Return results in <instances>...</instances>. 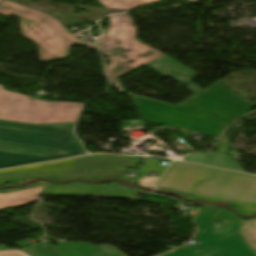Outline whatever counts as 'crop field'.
<instances>
[{
    "label": "crop field",
    "mask_w": 256,
    "mask_h": 256,
    "mask_svg": "<svg viewBox=\"0 0 256 256\" xmlns=\"http://www.w3.org/2000/svg\"><path fill=\"white\" fill-rule=\"evenodd\" d=\"M127 93L146 121L216 137L255 106L215 83L177 106Z\"/></svg>",
    "instance_id": "obj_1"
},
{
    "label": "crop field",
    "mask_w": 256,
    "mask_h": 256,
    "mask_svg": "<svg viewBox=\"0 0 256 256\" xmlns=\"http://www.w3.org/2000/svg\"><path fill=\"white\" fill-rule=\"evenodd\" d=\"M74 124L0 120V168L86 154L73 136Z\"/></svg>",
    "instance_id": "obj_2"
},
{
    "label": "crop field",
    "mask_w": 256,
    "mask_h": 256,
    "mask_svg": "<svg viewBox=\"0 0 256 256\" xmlns=\"http://www.w3.org/2000/svg\"><path fill=\"white\" fill-rule=\"evenodd\" d=\"M159 187L256 203V176L173 161Z\"/></svg>",
    "instance_id": "obj_3"
},
{
    "label": "crop field",
    "mask_w": 256,
    "mask_h": 256,
    "mask_svg": "<svg viewBox=\"0 0 256 256\" xmlns=\"http://www.w3.org/2000/svg\"><path fill=\"white\" fill-rule=\"evenodd\" d=\"M98 47L110 57L107 73L120 93L125 91L117 78L164 56L136 38V27L129 15L110 16L109 29L98 38Z\"/></svg>",
    "instance_id": "obj_4"
},
{
    "label": "crop field",
    "mask_w": 256,
    "mask_h": 256,
    "mask_svg": "<svg viewBox=\"0 0 256 256\" xmlns=\"http://www.w3.org/2000/svg\"><path fill=\"white\" fill-rule=\"evenodd\" d=\"M16 15L20 18L22 37L36 43L40 49L41 62L68 57L69 47L80 44L94 48V43L79 40L55 18L39 10L2 0L0 15Z\"/></svg>",
    "instance_id": "obj_5"
},
{
    "label": "crop field",
    "mask_w": 256,
    "mask_h": 256,
    "mask_svg": "<svg viewBox=\"0 0 256 256\" xmlns=\"http://www.w3.org/2000/svg\"><path fill=\"white\" fill-rule=\"evenodd\" d=\"M142 159L116 155H90L82 158L0 171V179L33 176H123Z\"/></svg>",
    "instance_id": "obj_6"
},
{
    "label": "crop field",
    "mask_w": 256,
    "mask_h": 256,
    "mask_svg": "<svg viewBox=\"0 0 256 256\" xmlns=\"http://www.w3.org/2000/svg\"><path fill=\"white\" fill-rule=\"evenodd\" d=\"M194 239L203 244L180 248L160 256H256L237 232L240 224L198 214Z\"/></svg>",
    "instance_id": "obj_7"
},
{
    "label": "crop field",
    "mask_w": 256,
    "mask_h": 256,
    "mask_svg": "<svg viewBox=\"0 0 256 256\" xmlns=\"http://www.w3.org/2000/svg\"><path fill=\"white\" fill-rule=\"evenodd\" d=\"M84 105L42 101L5 91L0 85V119L33 124L76 122Z\"/></svg>",
    "instance_id": "obj_8"
},
{
    "label": "crop field",
    "mask_w": 256,
    "mask_h": 256,
    "mask_svg": "<svg viewBox=\"0 0 256 256\" xmlns=\"http://www.w3.org/2000/svg\"><path fill=\"white\" fill-rule=\"evenodd\" d=\"M140 192V190L131 189L119 183L109 185L69 183L63 185H47L41 195H99L134 198Z\"/></svg>",
    "instance_id": "obj_9"
},
{
    "label": "crop field",
    "mask_w": 256,
    "mask_h": 256,
    "mask_svg": "<svg viewBox=\"0 0 256 256\" xmlns=\"http://www.w3.org/2000/svg\"><path fill=\"white\" fill-rule=\"evenodd\" d=\"M146 66L164 76H170L182 83H188L189 86L186 87V89L193 94L203 90L190 81L195 77L197 72L187 68L168 56H164Z\"/></svg>",
    "instance_id": "obj_10"
},
{
    "label": "crop field",
    "mask_w": 256,
    "mask_h": 256,
    "mask_svg": "<svg viewBox=\"0 0 256 256\" xmlns=\"http://www.w3.org/2000/svg\"><path fill=\"white\" fill-rule=\"evenodd\" d=\"M43 187L44 186H38L25 190L0 194V210L7 207H16L36 201V198Z\"/></svg>",
    "instance_id": "obj_11"
},
{
    "label": "crop field",
    "mask_w": 256,
    "mask_h": 256,
    "mask_svg": "<svg viewBox=\"0 0 256 256\" xmlns=\"http://www.w3.org/2000/svg\"><path fill=\"white\" fill-rule=\"evenodd\" d=\"M186 160L204 164H211L213 166L222 168L244 171L240 165H238L234 160H232L229 156L223 153H196L191 156H187Z\"/></svg>",
    "instance_id": "obj_12"
},
{
    "label": "crop field",
    "mask_w": 256,
    "mask_h": 256,
    "mask_svg": "<svg viewBox=\"0 0 256 256\" xmlns=\"http://www.w3.org/2000/svg\"><path fill=\"white\" fill-rule=\"evenodd\" d=\"M56 249L65 256H109L99 247L88 243H59Z\"/></svg>",
    "instance_id": "obj_13"
},
{
    "label": "crop field",
    "mask_w": 256,
    "mask_h": 256,
    "mask_svg": "<svg viewBox=\"0 0 256 256\" xmlns=\"http://www.w3.org/2000/svg\"><path fill=\"white\" fill-rule=\"evenodd\" d=\"M106 8L129 10L134 7L144 6L160 0H99Z\"/></svg>",
    "instance_id": "obj_14"
},
{
    "label": "crop field",
    "mask_w": 256,
    "mask_h": 256,
    "mask_svg": "<svg viewBox=\"0 0 256 256\" xmlns=\"http://www.w3.org/2000/svg\"><path fill=\"white\" fill-rule=\"evenodd\" d=\"M156 189H163V188L156 187ZM164 190H168V189H164ZM178 193H180V192H178ZM180 194L184 195V193H180ZM186 196H188L191 199L204 200V201H212V202L225 201V200L209 198V197H204V196H198V195L187 194ZM228 202H231V201H228ZM232 203H235L236 206L238 207V209L240 210V212L245 215H252L256 212V204H254V203H242V202H232Z\"/></svg>",
    "instance_id": "obj_15"
},
{
    "label": "crop field",
    "mask_w": 256,
    "mask_h": 256,
    "mask_svg": "<svg viewBox=\"0 0 256 256\" xmlns=\"http://www.w3.org/2000/svg\"><path fill=\"white\" fill-rule=\"evenodd\" d=\"M238 232L256 251V218L246 221Z\"/></svg>",
    "instance_id": "obj_16"
},
{
    "label": "crop field",
    "mask_w": 256,
    "mask_h": 256,
    "mask_svg": "<svg viewBox=\"0 0 256 256\" xmlns=\"http://www.w3.org/2000/svg\"><path fill=\"white\" fill-rule=\"evenodd\" d=\"M200 213L209 215V216H213V217H217V218H221V219H225V220H229V221H233V222H237V223H241V224L244 223V221L234 217L227 210L217 208V207L203 206Z\"/></svg>",
    "instance_id": "obj_17"
},
{
    "label": "crop field",
    "mask_w": 256,
    "mask_h": 256,
    "mask_svg": "<svg viewBox=\"0 0 256 256\" xmlns=\"http://www.w3.org/2000/svg\"><path fill=\"white\" fill-rule=\"evenodd\" d=\"M31 256H62L51 246L43 247L42 245H37L33 248L25 250Z\"/></svg>",
    "instance_id": "obj_18"
},
{
    "label": "crop field",
    "mask_w": 256,
    "mask_h": 256,
    "mask_svg": "<svg viewBox=\"0 0 256 256\" xmlns=\"http://www.w3.org/2000/svg\"><path fill=\"white\" fill-rule=\"evenodd\" d=\"M49 178H53V179H59V180H63V179H69V178H79V179H87V180H97V179H101L104 177H49ZM116 178H122V177H116ZM29 178H23V179H9V180H0V185L5 184L6 182H18V181H25Z\"/></svg>",
    "instance_id": "obj_19"
},
{
    "label": "crop field",
    "mask_w": 256,
    "mask_h": 256,
    "mask_svg": "<svg viewBox=\"0 0 256 256\" xmlns=\"http://www.w3.org/2000/svg\"><path fill=\"white\" fill-rule=\"evenodd\" d=\"M100 248L107 252L110 256H125L117 249L110 246H101Z\"/></svg>",
    "instance_id": "obj_20"
},
{
    "label": "crop field",
    "mask_w": 256,
    "mask_h": 256,
    "mask_svg": "<svg viewBox=\"0 0 256 256\" xmlns=\"http://www.w3.org/2000/svg\"><path fill=\"white\" fill-rule=\"evenodd\" d=\"M0 256H27L22 251L12 250V251H1Z\"/></svg>",
    "instance_id": "obj_21"
},
{
    "label": "crop field",
    "mask_w": 256,
    "mask_h": 256,
    "mask_svg": "<svg viewBox=\"0 0 256 256\" xmlns=\"http://www.w3.org/2000/svg\"><path fill=\"white\" fill-rule=\"evenodd\" d=\"M38 185H44V184H34V185H30V186H27V187H24V188L38 186ZM24 188H22V189H24ZM14 190H20V189H14ZM14 190H0V193H6V192L14 191Z\"/></svg>",
    "instance_id": "obj_22"
},
{
    "label": "crop field",
    "mask_w": 256,
    "mask_h": 256,
    "mask_svg": "<svg viewBox=\"0 0 256 256\" xmlns=\"http://www.w3.org/2000/svg\"><path fill=\"white\" fill-rule=\"evenodd\" d=\"M109 13H122V12H128V11H121V10H114V9H108Z\"/></svg>",
    "instance_id": "obj_23"
},
{
    "label": "crop field",
    "mask_w": 256,
    "mask_h": 256,
    "mask_svg": "<svg viewBox=\"0 0 256 256\" xmlns=\"http://www.w3.org/2000/svg\"><path fill=\"white\" fill-rule=\"evenodd\" d=\"M22 249H25V248H28L30 246H32L31 244L29 243H25V244H18Z\"/></svg>",
    "instance_id": "obj_24"
},
{
    "label": "crop field",
    "mask_w": 256,
    "mask_h": 256,
    "mask_svg": "<svg viewBox=\"0 0 256 256\" xmlns=\"http://www.w3.org/2000/svg\"><path fill=\"white\" fill-rule=\"evenodd\" d=\"M1 1V0H0Z\"/></svg>",
    "instance_id": "obj_25"
}]
</instances>
